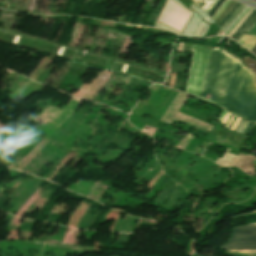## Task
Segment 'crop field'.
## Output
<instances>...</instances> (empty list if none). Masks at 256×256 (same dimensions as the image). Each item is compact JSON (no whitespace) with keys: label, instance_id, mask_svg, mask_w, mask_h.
<instances>
[{"label":"crop field","instance_id":"8a807250","mask_svg":"<svg viewBox=\"0 0 256 256\" xmlns=\"http://www.w3.org/2000/svg\"><path fill=\"white\" fill-rule=\"evenodd\" d=\"M213 95L220 97L219 102L212 100ZM200 97L256 121V84L252 73L217 47L211 53Z\"/></svg>","mask_w":256,"mask_h":256},{"label":"crop field","instance_id":"ac0d7876","mask_svg":"<svg viewBox=\"0 0 256 256\" xmlns=\"http://www.w3.org/2000/svg\"><path fill=\"white\" fill-rule=\"evenodd\" d=\"M224 249L256 248V223L234 229L230 242Z\"/></svg>","mask_w":256,"mask_h":256},{"label":"crop field","instance_id":"34b2d1b8","mask_svg":"<svg viewBox=\"0 0 256 256\" xmlns=\"http://www.w3.org/2000/svg\"><path fill=\"white\" fill-rule=\"evenodd\" d=\"M256 22V10L249 15V17L245 20V22L240 26V28L235 32V34L231 37L234 40H238L242 34H247L253 24Z\"/></svg>","mask_w":256,"mask_h":256},{"label":"crop field","instance_id":"412701ff","mask_svg":"<svg viewBox=\"0 0 256 256\" xmlns=\"http://www.w3.org/2000/svg\"><path fill=\"white\" fill-rule=\"evenodd\" d=\"M247 49L251 50L256 44V36L242 35L238 40Z\"/></svg>","mask_w":256,"mask_h":256},{"label":"crop field","instance_id":"f4fd0767","mask_svg":"<svg viewBox=\"0 0 256 256\" xmlns=\"http://www.w3.org/2000/svg\"><path fill=\"white\" fill-rule=\"evenodd\" d=\"M226 253L240 256H253L256 255V249L227 250Z\"/></svg>","mask_w":256,"mask_h":256},{"label":"crop field","instance_id":"dd49c442","mask_svg":"<svg viewBox=\"0 0 256 256\" xmlns=\"http://www.w3.org/2000/svg\"><path fill=\"white\" fill-rule=\"evenodd\" d=\"M246 6L241 5L239 9L232 15V17L225 23V25L221 28L222 31L224 32L226 28L233 22V20L241 13V11L245 8Z\"/></svg>","mask_w":256,"mask_h":256},{"label":"crop field","instance_id":"e52e79f7","mask_svg":"<svg viewBox=\"0 0 256 256\" xmlns=\"http://www.w3.org/2000/svg\"><path fill=\"white\" fill-rule=\"evenodd\" d=\"M217 1L218 0H204L199 7L202 8L203 10H205L208 13L209 10L214 6V4Z\"/></svg>","mask_w":256,"mask_h":256},{"label":"crop field","instance_id":"d8731c3e","mask_svg":"<svg viewBox=\"0 0 256 256\" xmlns=\"http://www.w3.org/2000/svg\"><path fill=\"white\" fill-rule=\"evenodd\" d=\"M240 6V4L236 3L235 6L230 10V12L225 16V18L220 22L218 25L220 28L223 26V24L230 18V16L237 10V8Z\"/></svg>","mask_w":256,"mask_h":256},{"label":"crop field","instance_id":"5a996713","mask_svg":"<svg viewBox=\"0 0 256 256\" xmlns=\"http://www.w3.org/2000/svg\"><path fill=\"white\" fill-rule=\"evenodd\" d=\"M224 2V0H219L215 6L210 10V12L208 13L211 17L213 16V14L217 11V9L220 7V5Z\"/></svg>","mask_w":256,"mask_h":256},{"label":"crop field","instance_id":"3316defc","mask_svg":"<svg viewBox=\"0 0 256 256\" xmlns=\"http://www.w3.org/2000/svg\"><path fill=\"white\" fill-rule=\"evenodd\" d=\"M248 34L256 35V24H255L254 27L249 31Z\"/></svg>","mask_w":256,"mask_h":256},{"label":"crop field","instance_id":"28ad6ade","mask_svg":"<svg viewBox=\"0 0 256 256\" xmlns=\"http://www.w3.org/2000/svg\"><path fill=\"white\" fill-rule=\"evenodd\" d=\"M252 53H254L256 55V46L252 49L251 51Z\"/></svg>","mask_w":256,"mask_h":256}]
</instances>
